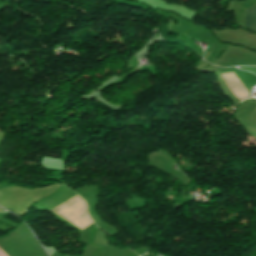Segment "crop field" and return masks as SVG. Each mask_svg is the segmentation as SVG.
I'll list each match as a JSON object with an SVG mask.
<instances>
[{
    "label": "crop field",
    "mask_w": 256,
    "mask_h": 256,
    "mask_svg": "<svg viewBox=\"0 0 256 256\" xmlns=\"http://www.w3.org/2000/svg\"><path fill=\"white\" fill-rule=\"evenodd\" d=\"M244 27L256 32V5L246 10Z\"/></svg>",
    "instance_id": "obj_1"
}]
</instances>
